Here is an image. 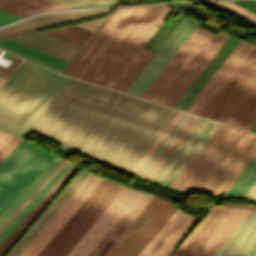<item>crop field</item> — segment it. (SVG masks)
Wrapping results in <instances>:
<instances>
[{
  "label": "crop field",
  "mask_w": 256,
  "mask_h": 256,
  "mask_svg": "<svg viewBox=\"0 0 256 256\" xmlns=\"http://www.w3.org/2000/svg\"><path fill=\"white\" fill-rule=\"evenodd\" d=\"M177 112L71 78L31 131L129 173Z\"/></svg>",
  "instance_id": "obj_1"
},
{
  "label": "crop field",
  "mask_w": 256,
  "mask_h": 256,
  "mask_svg": "<svg viewBox=\"0 0 256 256\" xmlns=\"http://www.w3.org/2000/svg\"><path fill=\"white\" fill-rule=\"evenodd\" d=\"M171 11L162 4L137 6L81 79L124 92L154 55L142 47Z\"/></svg>",
  "instance_id": "obj_2"
},
{
  "label": "crop field",
  "mask_w": 256,
  "mask_h": 256,
  "mask_svg": "<svg viewBox=\"0 0 256 256\" xmlns=\"http://www.w3.org/2000/svg\"><path fill=\"white\" fill-rule=\"evenodd\" d=\"M255 156V134L220 124L171 187L224 196Z\"/></svg>",
  "instance_id": "obj_3"
},
{
  "label": "crop field",
  "mask_w": 256,
  "mask_h": 256,
  "mask_svg": "<svg viewBox=\"0 0 256 256\" xmlns=\"http://www.w3.org/2000/svg\"><path fill=\"white\" fill-rule=\"evenodd\" d=\"M69 79L23 61L0 89V129L23 138Z\"/></svg>",
  "instance_id": "obj_4"
},
{
  "label": "crop field",
  "mask_w": 256,
  "mask_h": 256,
  "mask_svg": "<svg viewBox=\"0 0 256 256\" xmlns=\"http://www.w3.org/2000/svg\"><path fill=\"white\" fill-rule=\"evenodd\" d=\"M227 37L197 26L142 98L173 107Z\"/></svg>",
  "instance_id": "obj_5"
},
{
  "label": "crop field",
  "mask_w": 256,
  "mask_h": 256,
  "mask_svg": "<svg viewBox=\"0 0 256 256\" xmlns=\"http://www.w3.org/2000/svg\"><path fill=\"white\" fill-rule=\"evenodd\" d=\"M122 188L103 179L38 256H65Z\"/></svg>",
  "instance_id": "obj_6"
},
{
  "label": "crop field",
  "mask_w": 256,
  "mask_h": 256,
  "mask_svg": "<svg viewBox=\"0 0 256 256\" xmlns=\"http://www.w3.org/2000/svg\"><path fill=\"white\" fill-rule=\"evenodd\" d=\"M54 155L22 140L0 163V213Z\"/></svg>",
  "instance_id": "obj_7"
},
{
  "label": "crop field",
  "mask_w": 256,
  "mask_h": 256,
  "mask_svg": "<svg viewBox=\"0 0 256 256\" xmlns=\"http://www.w3.org/2000/svg\"><path fill=\"white\" fill-rule=\"evenodd\" d=\"M176 210L167 200L154 196L104 256H137Z\"/></svg>",
  "instance_id": "obj_8"
},
{
  "label": "crop field",
  "mask_w": 256,
  "mask_h": 256,
  "mask_svg": "<svg viewBox=\"0 0 256 256\" xmlns=\"http://www.w3.org/2000/svg\"><path fill=\"white\" fill-rule=\"evenodd\" d=\"M256 77V46L202 112L201 116L221 121Z\"/></svg>",
  "instance_id": "obj_9"
},
{
  "label": "crop field",
  "mask_w": 256,
  "mask_h": 256,
  "mask_svg": "<svg viewBox=\"0 0 256 256\" xmlns=\"http://www.w3.org/2000/svg\"><path fill=\"white\" fill-rule=\"evenodd\" d=\"M139 193L124 187L66 256H87Z\"/></svg>",
  "instance_id": "obj_10"
},
{
  "label": "crop field",
  "mask_w": 256,
  "mask_h": 256,
  "mask_svg": "<svg viewBox=\"0 0 256 256\" xmlns=\"http://www.w3.org/2000/svg\"><path fill=\"white\" fill-rule=\"evenodd\" d=\"M101 180L90 173L20 256H36Z\"/></svg>",
  "instance_id": "obj_11"
},
{
  "label": "crop field",
  "mask_w": 256,
  "mask_h": 256,
  "mask_svg": "<svg viewBox=\"0 0 256 256\" xmlns=\"http://www.w3.org/2000/svg\"><path fill=\"white\" fill-rule=\"evenodd\" d=\"M253 45L243 41L236 47L192 104L188 107L186 112L200 114L205 106L210 102L218 90L223 86L231 74L236 70L244 58L253 49Z\"/></svg>",
  "instance_id": "obj_12"
},
{
  "label": "crop field",
  "mask_w": 256,
  "mask_h": 256,
  "mask_svg": "<svg viewBox=\"0 0 256 256\" xmlns=\"http://www.w3.org/2000/svg\"><path fill=\"white\" fill-rule=\"evenodd\" d=\"M110 9L73 10L39 15L0 29V38L27 33L53 25L98 15Z\"/></svg>",
  "instance_id": "obj_13"
},
{
  "label": "crop field",
  "mask_w": 256,
  "mask_h": 256,
  "mask_svg": "<svg viewBox=\"0 0 256 256\" xmlns=\"http://www.w3.org/2000/svg\"><path fill=\"white\" fill-rule=\"evenodd\" d=\"M234 208L212 206L172 256H194Z\"/></svg>",
  "instance_id": "obj_14"
},
{
  "label": "crop field",
  "mask_w": 256,
  "mask_h": 256,
  "mask_svg": "<svg viewBox=\"0 0 256 256\" xmlns=\"http://www.w3.org/2000/svg\"><path fill=\"white\" fill-rule=\"evenodd\" d=\"M129 8H117L110 13L62 73L75 77Z\"/></svg>",
  "instance_id": "obj_15"
},
{
  "label": "crop field",
  "mask_w": 256,
  "mask_h": 256,
  "mask_svg": "<svg viewBox=\"0 0 256 256\" xmlns=\"http://www.w3.org/2000/svg\"><path fill=\"white\" fill-rule=\"evenodd\" d=\"M256 241V211L251 210L213 256H243Z\"/></svg>",
  "instance_id": "obj_16"
},
{
  "label": "crop field",
  "mask_w": 256,
  "mask_h": 256,
  "mask_svg": "<svg viewBox=\"0 0 256 256\" xmlns=\"http://www.w3.org/2000/svg\"><path fill=\"white\" fill-rule=\"evenodd\" d=\"M88 174L89 172L83 169L79 171V173L73 178V180L67 185V187L61 192V194L55 199V201L49 206V208L43 213V215L37 220V222L31 227V229L7 256H19L22 253V251L46 225V223L51 219V217L57 212V210L63 205V203L69 198V196L75 191V189L81 184Z\"/></svg>",
  "instance_id": "obj_17"
},
{
  "label": "crop field",
  "mask_w": 256,
  "mask_h": 256,
  "mask_svg": "<svg viewBox=\"0 0 256 256\" xmlns=\"http://www.w3.org/2000/svg\"><path fill=\"white\" fill-rule=\"evenodd\" d=\"M25 45L53 55L67 62L78 51L79 47L48 35L44 32L12 38Z\"/></svg>",
  "instance_id": "obj_18"
},
{
  "label": "crop field",
  "mask_w": 256,
  "mask_h": 256,
  "mask_svg": "<svg viewBox=\"0 0 256 256\" xmlns=\"http://www.w3.org/2000/svg\"><path fill=\"white\" fill-rule=\"evenodd\" d=\"M256 121V79L223 118L222 122L249 130Z\"/></svg>",
  "instance_id": "obj_19"
},
{
  "label": "crop field",
  "mask_w": 256,
  "mask_h": 256,
  "mask_svg": "<svg viewBox=\"0 0 256 256\" xmlns=\"http://www.w3.org/2000/svg\"><path fill=\"white\" fill-rule=\"evenodd\" d=\"M219 123L208 120L203 128L199 131L196 137L172 165L169 171L161 179L160 183L170 186L175 178L180 174L192 157L197 153L209 136L214 132L218 127Z\"/></svg>",
  "instance_id": "obj_20"
},
{
  "label": "crop field",
  "mask_w": 256,
  "mask_h": 256,
  "mask_svg": "<svg viewBox=\"0 0 256 256\" xmlns=\"http://www.w3.org/2000/svg\"><path fill=\"white\" fill-rule=\"evenodd\" d=\"M250 210L235 208L195 256H212Z\"/></svg>",
  "instance_id": "obj_21"
},
{
  "label": "crop field",
  "mask_w": 256,
  "mask_h": 256,
  "mask_svg": "<svg viewBox=\"0 0 256 256\" xmlns=\"http://www.w3.org/2000/svg\"><path fill=\"white\" fill-rule=\"evenodd\" d=\"M66 8L68 7L49 0H0V9L22 18L39 12Z\"/></svg>",
  "instance_id": "obj_22"
},
{
  "label": "crop field",
  "mask_w": 256,
  "mask_h": 256,
  "mask_svg": "<svg viewBox=\"0 0 256 256\" xmlns=\"http://www.w3.org/2000/svg\"><path fill=\"white\" fill-rule=\"evenodd\" d=\"M186 215H187L186 213H184L182 215V217L176 222V224L170 229V231L164 236V238L158 243V245L152 250V252L148 256H155V255L168 256L171 253V251L177 246V244L182 240V238L188 233V231L194 226V224L202 216L201 215V216L194 217L190 214H188L187 216ZM185 216H186V218H185ZM179 223H180V225H179ZM173 230H174V232H173ZM168 236H169V238H168ZM162 243H163V245H162ZM156 250H157V252H156ZM154 253H155V255H153Z\"/></svg>",
  "instance_id": "obj_23"
},
{
  "label": "crop field",
  "mask_w": 256,
  "mask_h": 256,
  "mask_svg": "<svg viewBox=\"0 0 256 256\" xmlns=\"http://www.w3.org/2000/svg\"><path fill=\"white\" fill-rule=\"evenodd\" d=\"M77 169L76 166H72L70 170L61 178V180L52 188V190L43 198V200L34 208V210L25 218V220L6 238V240L0 245V256L9 249V247L15 242V240L21 235V233L27 228V226L33 221L38 213L44 208V206L50 201V199L56 194V192L62 187V185L68 180V178Z\"/></svg>",
  "instance_id": "obj_24"
},
{
  "label": "crop field",
  "mask_w": 256,
  "mask_h": 256,
  "mask_svg": "<svg viewBox=\"0 0 256 256\" xmlns=\"http://www.w3.org/2000/svg\"><path fill=\"white\" fill-rule=\"evenodd\" d=\"M71 166L72 164L67 162L42 188V190L25 206V208L8 224V226L0 233V244L23 221V219L32 211V209L41 201V199L50 191V189L59 181V179Z\"/></svg>",
  "instance_id": "obj_25"
},
{
  "label": "crop field",
  "mask_w": 256,
  "mask_h": 256,
  "mask_svg": "<svg viewBox=\"0 0 256 256\" xmlns=\"http://www.w3.org/2000/svg\"><path fill=\"white\" fill-rule=\"evenodd\" d=\"M63 160L55 157L45 169L23 190V192L2 212L0 226L31 195V193L52 173Z\"/></svg>",
  "instance_id": "obj_26"
},
{
  "label": "crop field",
  "mask_w": 256,
  "mask_h": 256,
  "mask_svg": "<svg viewBox=\"0 0 256 256\" xmlns=\"http://www.w3.org/2000/svg\"><path fill=\"white\" fill-rule=\"evenodd\" d=\"M191 20L192 19L186 16L184 17V19L180 22V24L176 27V29L172 32V34L168 37V39L164 42V44L160 47V49L156 52V54L151 58V60L147 63V65L143 68V70L139 73V75L127 88V90L125 91L126 93H130V94L133 93V91L138 87V85L142 82V80L146 77V75L151 71V69L155 66V64L159 61V59L164 55V53L168 50V48L177 39V37L181 34V32L185 29V27L190 23Z\"/></svg>",
  "instance_id": "obj_27"
},
{
  "label": "crop field",
  "mask_w": 256,
  "mask_h": 256,
  "mask_svg": "<svg viewBox=\"0 0 256 256\" xmlns=\"http://www.w3.org/2000/svg\"><path fill=\"white\" fill-rule=\"evenodd\" d=\"M206 121L207 119L201 117L198 118V120L194 123V125L190 128V130L186 133V135L182 138V140L178 143L175 149L171 152V154L167 157V159L163 162V164L159 167V169L155 172L150 180L157 182L160 181V179L164 176V174L168 171L171 165L175 162V160L195 137V135L206 123Z\"/></svg>",
  "instance_id": "obj_28"
},
{
  "label": "crop field",
  "mask_w": 256,
  "mask_h": 256,
  "mask_svg": "<svg viewBox=\"0 0 256 256\" xmlns=\"http://www.w3.org/2000/svg\"><path fill=\"white\" fill-rule=\"evenodd\" d=\"M196 26L197 23L192 20L133 95L139 97L142 95V93L146 90V88L150 85V83L154 80V78L158 75L166 63L171 59V57L175 54V52L179 49V47L183 44V42L187 39V37L191 34Z\"/></svg>",
  "instance_id": "obj_29"
},
{
  "label": "crop field",
  "mask_w": 256,
  "mask_h": 256,
  "mask_svg": "<svg viewBox=\"0 0 256 256\" xmlns=\"http://www.w3.org/2000/svg\"><path fill=\"white\" fill-rule=\"evenodd\" d=\"M191 116H192L191 114H187V113L183 114V116L174 125V127L170 130V132L166 135V137L162 140V142L157 146V148L153 151V153L149 156V158L145 161V163L136 172L135 176H138L141 178L144 177V175L148 172V170L152 167V165L164 152L167 146L171 143V141L175 138V136L179 133V131L191 118Z\"/></svg>",
  "instance_id": "obj_30"
},
{
  "label": "crop field",
  "mask_w": 256,
  "mask_h": 256,
  "mask_svg": "<svg viewBox=\"0 0 256 256\" xmlns=\"http://www.w3.org/2000/svg\"><path fill=\"white\" fill-rule=\"evenodd\" d=\"M0 45L8 47L10 49H13L15 51H18L25 55L31 56L33 58H36V59L46 62L48 64L54 65L61 69H63L65 67V65L67 64V62H65V61H62L53 56H50L48 54H45L43 52H40V51L30 48L28 46H25L21 43L11 40V39H6V40L0 41Z\"/></svg>",
  "instance_id": "obj_31"
},
{
  "label": "crop field",
  "mask_w": 256,
  "mask_h": 256,
  "mask_svg": "<svg viewBox=\"0 0 256 256\" xmlns=\"http://www.w3.org/2000/svg\"><path fill=\"white\" fill-rule=\"evenodd\" d=\"M147 196L148 194H145L143 192L139 194V196L134 200V202L129 206V208L124 212V214L119 218V220L114 224V226L108 231V233L102 238V240L97 244V246L91 251L88 256H96L100 252V250L113 237V235L126 222V220L132 215V213L138 208V206L144 201Z\"/></svg>",
  "instance_id": "obj_32"
},
{
  "label": "crop field",
  "mask_w": 256,
  "mask_h": 256,
  "mask_svg": "<svg viewBox=\"0 0 256 256\" xmlns=\"http://www.w3.org/2000/svg\"><path fill=\"white\" fill-rule=\"evenodd\" d=\"M256 179V157L237 179L225 196L241 198Z\"/></svg>",
  "instance_id": "obj_33"
},
{
  "label": "crop field",
  "mask_w": 256,
  "mask_h": 256,
  "mask_svg": "<svg viewBox=\"0 0 256 256\" xmlns=\"http://www.w3.org/2000/svg\"><path fill=\"white\" fill-rule=\"evenodd\" d=\"M45 32L51 35H54L56 37H59L63 40H66L68 42H71L73 44H76L78 46L81 45V43L85 40V38L90 33V31L85 30L76 25L69 26L62 29H57V30L45 31Z\"/></svg>",
  "instance_id": "obj_34"
},
{
  "label": "crop field",
  "mask_w": 256,
  "mask_h": 256,
  "mask_svg": "<svg viewBox=\"0 0 256 256\" xmlns=\"http://www.w3.org/2000/svg\"><path fill=\"white\" fill-rule=\"evenodd\" d=\"M198 116L193 115L192 118L188 121V123L184 126V128L180 131V133L176 136V138L172 141L169 147L165 150V152L161 155V157L157 160V162L153 165V167L149 170V172L145 175L144 179L149 180L150 177L154 174V172L158 169V167L162 164V162L166 159V157L170 154L173 148L177 145V143L181 140V138L185 135V133L189 130V128L193 125V123L197 120Z\"/></svg>",
  "instance_id": "obj_35"
},
{
  "label": "crop field",
  "mask_w": 256,
  "mask_h": 256,
  "mask_svg": "<svg viewBox=\"0 0 256 256\" xmlns=\"http://www.w3.org/2000/svg\"><path fill=\"white\" fill-rule=\"evenodd\" d=\"M174 214V213H173ZM183 212L177 210L175 214L168 220V222L162 227V229L155 235V237L149 242V244L142 250L138 256H147L151 250L157 245V243L163 238V236L169 231V229L175 224V222L181 217Z\"/></svg>",
  "instance_id": "obj_36"
},
{
  "label": "crop field",
  "mask_w": 256,
  "mask_h": 256,
  "mask_svg": "<svg viewBox=\"0 0 256 256\" xmlns=\"http://www.w3.org/2000/svg\"><path fill=\"white\" fill-rule=\"evenodd\" d=\"M70 8L114 5L117 0H52Z\"/></svg>",
  "instance_id": "obj_37"
},
{
  "label": "crop field",
  "mask_w": 256,
  "mask_h": 256,
  "mask_svg": "<svg viewBox=\"0 0 256 256\" xmlns=\"http://www.w3.org/2000/svg\"><path fill=\"white\" fill-rule=\"evenodd\" d=\"M182 114H183V112H181V111L178 112V114L174 117V119L170 122V124L165 128V130L161 133V135L157 138V140L153 143V145L149 148V150L144 154V156L140 159V161L132 169L130 174H132V175L135 174V172L144 163V161L148 158V156L152 153V151L156 148V146L161 142V140L165 137V135L173 127V125L178 121V119L182 116Z\"/></svg>",
  "instance_id": "obj_38"
},
{
  "label": "crop field",
  "mask_w": 256,
  "mask_h": 256,
  "mask_svg": "<svg viewBox=\"0 0 256 256\" xmlns=\"http://www.w3.org/2000/svg\"><path fill=\"white\" fill-rule=\"evenodd\" d=\"M136 6L131 7L130 10L126 13V15L122 18V20L118 23V25L114 28V30L110 33V35L106 38V40L101 44V46L97 49V51L93 54V56L89 59V61L85 64V66L81 69V71L77 74V78H80L81 75L85 72V70L89 67V65L93 62L96 56L100 53V51L104 48V46L108 43V41L112 38V36L116 33V31L120 28L123 22L127 19V17L131 14V12L135 9Z\"/></svg>",
  "instance_id": "obj_39"
},
{
  "label": "crop field",
  "mask_w": 256,
  "mask_h": 256,
  "mask_svg": "<svg viewBox=\"0 0 256 256\" xmlns=\"http://www.w3.org/2000/svg\"><path fill=\"white\" fill-rule=\"evenodd\" d=\"M153 196L149 195L147 199L140 205V207L134 212V214L127 220V222L121 227V229L114 235V237L108 242V244L101 250L97 256H102L108 248L114 243V241L121 235V233L127 228V226L133 221V219L139 214V212L145 207V205L151 200ZM153 199V198H152ZM110 249V248H109ZM104 256V255H103Z\"/></svg>",
  "instance_id": "obj_40"
},
{
  "label": "crop field",
  "mask_w": 256,
  "mask_h": 256,
  "mask_svg": "<svg viewBox=\"0 0 256 256\" xmlns=\"http://www.w3.org/2000/svg\"><path fill=\"white\" fill-rule=\"evenodd\" d=\"M21 141L16 137L6 134L0 140V162L13 150V148Z\"/></svg>",
  "instance_id": "obj_41"
},
{
  "label": "crop field",
  "mask_w": 256,
  "mask_h": 256,
  "mask_svg": "<svg viewBox=\"0 0 256 256\" xmlns=\"http://www.w3.org/2000/svg\"><path fill=\"white\" fill-rule=\"evenodd\" d=\"M63 161L54 172L34 191V193L11 215V217L0 227V232L7 226V224L24 208V206L41 190V188L58 172V170L65 164Z\"/></svg>",
  "instance_id": "obj_42"
},
{
  "label": "crop field",
  "mask_w": 256,
  "mask_h": 256,
  "mask_svg": "<svg viewBox=\"0 0 256 256\" xmlns=\"http://www.w3.org/2000/svg\"><path fill=\"white\" fill-rule=\"evenodd\" d=\"M217 4L227 8V9H229V10H231V11H233V12L239 14V15H242V16H244V17H246V18H248V19H250L254 22H256V14L255 13H253L251 11H248V10H246V9H244V8L234 4V3L227 2V3H217Z\"/></svg>",
  "instance_id": "obj_43"
},
{
  "label": "crop field",
  "mask_w": 256,
  "mask_h": 256,
  "mask_svg": "<svg viewBox=\"0 0 256 256\" xmlns=\"http://www.w3.org/2000/svg\"><path fill=\"white\" fill-rule=\"evenodd\" d=\"M0 49L5 50V51L10 52V53H13V54H15V55H18V56H20V57H23V58L28 59V60H30V61H33V62H35V63H38V64H40V65L46 66V67L51 68V69H53V70H56V71H58V72H61V69H59V68H56V67L51 66V65H48V64H46V63H43V62L38 61V60H36V59H33V58H31V57L25 56V55H23V54H20V53H18V52H15V51H13V50L8 49V48H5V47L0 46Z\"/></svg>",
  "instance_id": "obj_44"
},
{
  "label": "crop field",
  "mask_w": 256,
  "mask_h": 256,
  "mask_svg": "<svg viewBox=\"0 0 256 256\" xmlns=\"http://www.w3.org/2000/svg\"><path fill=\"white\" fill-rule=\"evenodd\" d=\"M18 19H21V18L0 10V26L16 21Z\"/></svg>",
  "instance_id": "obj_45"
},
{
  "label": "crop field",
  "mask_w": 256,
  "mask_h": 256,
  "mask_svg": "<svg viewBox=\"0 0 256 256\" xmlns=\"http://www.w3.org/2000/svg\"><path fill=\"white\" fill-rule=\"evenodd\" d=\"M15 65L10 64L7 69L0 66V81L3 82L4 79L9 75V73L14 69Z\"/></svg>",
  "instance_id": "obj_46"
},
{
  "label": "crop field",
  "mask_w": 256,
  "mask_h": 256,
  "mask_svg": "<svg viewBox=\"0 0 256 256\" xmlns=\"http://www.w3.org/2000/svg\"><path fill=\"white\" fill-rule=\"evenodd\" d=\"M243 198L251 199V200H255L256 201V181L251 186V188L247 191V193L244 195Z\"/></svg>",
  "instance_id": "obj_47"
},
{
  "label": "crop field",
  "mask_w": 256,
  "mask_h": 256,
  "mask_svg": "<svg viewBox=\"0 0 256 256\" xmlns=\"http://www.w3.org/2000/svg\"><path fill=\"white\" fill-rule=\"evenodd\" d=\"M234 3H236V4L242 6V7L246 8V9L251 10V11L256 13V3L253 2V1H249V2H234Z\"/></svg>",
  "instance_id": "obj_48"
},
{
  "label": "crop field",
  "mask_w": 256,
  "mask_h": 256,
  "mask_svg": "<svg viewBox=\"0 0 256 256\" xmlns=\"http://www.w3.org/2000/svg\"><path fill=\"white\" fill-rule=\"evenodd\" d=\"M244 256H256V242Z\"/></svg>",
  "instance_id": "obj_49"
},
{
  "label": "crop field",
  "mask_w": 256,
  "mask_h": 256,
  "mask_svg": "<svg viewBox=\"0 0 256 256\" xmlns=\"http://www.w3.org/2000/svg\"><path fill=\"white\" fill-rule=\"evenodd\" d=\"M228 206H236V207H245V208H252V209H256V207H252V206H247V205H233V204H226Z\"/></svg>",
  "instance_id": "obj_50"
},
{
  "label": "crop field",
  "mask_w": 256,
  "mask_h": 256,
  "mask_svg": "<svg viewBox=\"0 0 256 256\" xmlns=\"http://www.w3.org/2000/svg\"><path fill=\"white\" fill-rule=\"evenodd\" d=\"M250 131L256 132V122H255V124L251 127Z\"/></svg>",
  "instance_id": "obj_51"
},
{
  "label": "crop field",
  "mask_w": 256,
  "mask_h": 256,
  "mask_svg": "<svg viewBox=\"0 0 256 256\" xmlns=\"http://www.w3.org/2000/svg\"><path fill=\"white\" fill-rule=\"evenodd\" d=\"M5 135V133L0 131V139Z\"/></svg>",
  "instance_id": "obj_52"
},
{
  "label": "crop field",
  "mask_w": 256,
  "mask_h": 256,
  "mask_svg": "<svg viewBox=\"0 0 256 256\" xmlns=\"http://www.w3.org/2000/svg\"><path fill=\"white\" fill-rule=\"evenodd\" d=\"M2 83H0V87H1Z\"/></svg>",
  "instance_id": "obj_53"
},
{
  "label": "crop field",
  "mask_w": 256,
  "mask_h": 256,
  "mask_svg": "<svg viewBox=\"0 0 256 256\" xmlns=\"http://www.w3.org/2000/svg\"><path fill=\"white\" fill-rule=\"evenodd\" d=\"M253 1H255V2H256V0H253Z\"/></svg>",
  "instance_id": "obj_54"
}]
</instances>
